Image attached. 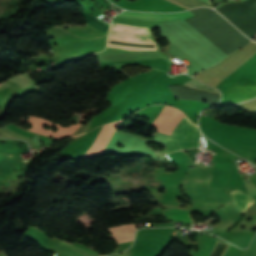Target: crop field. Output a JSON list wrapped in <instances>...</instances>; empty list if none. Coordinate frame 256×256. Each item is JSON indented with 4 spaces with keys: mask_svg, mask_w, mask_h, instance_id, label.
<instances>
[{
    "mask_svg": "<svg viewBox=\"0 0 256 256\" xmlns=\"http://www.w3.org/2000/svg\"><path fill=\"white\" fill-rule=\"evenodd\" d=\"M184 85L220 96V92L218 90H215L209 86H206L193 78L189 80L187 83H185Z\"/></svg>",
    "mask_w": 256,
    "mask_h": 256,
    "instance_id": "crop-field-12",
    "label": "crop field"
},
{
    "mask_svg": "<svg viewBox=\"0 0 256 256\" xmlns=\"http://www.w3.org/2000/svg\"><path fill=\"white\" fill-rule=\"evenodd\" d=\"M53 250L66 254L68 256H98L88 250L74 246L63 241H59Z\"/></svg>",
    "mask_w": 256,
    "mask_h": 256,
    "instance_id": "crop-field-7",
    "label": "crop field"
},
{
    "mask_svg": "<svg viewBox=\"0 0 256 256\" xmlns=\"http://www.w3.org/2000/svg\"><path fill=\"white\" fill-rule=\"evenodd\" d=\"M184 118V114L179 110L165 106L158 117L154 120L152 126L158 128V132L170 135ZM199 136L200 132L198 130V126H195L186 117L170 135L167 141L166 152L169 153L179 149L198 147Z\"/></svg>",
    "mask_w": 256,
    "mask_h": 256,
    "instance_id": "crop-field-1",
    "label": "crop field"
},
{
    "mask_svg": "<svg viewBox=\"0 0 256 256\" xmlns=\"http://www.w3.org/2000/svg\"><path fill=\"white\" fill-rule=\"evenodd\" d=\"M118 16L135 18V19H143V20H152V21H175V20L190 18L194 16V14H192L189 11L175 13V14H146V13H136V12L125 11L119 14ZM110 31L152 38L150 34V29L148 28H141V27H134V26L112 23Z\"/></svg>",
    "mask_w": 256,
    "mask_h": 256,
    "instance_id": "crop-field-3",
    "label": "crop field"
},
{
    "mask_svg": "<svg viewBox=\"0 0 256 256\" xmlns=\"http://www.w3.org/2000/svg\"><path fill=\"white\" fill-rule=\"evenodd\" d=\"M230 194L232 195L235 202L234 208L239 213L244 212L247 207L255 202L251 197L238 190H234L230 192Z\"/></svg>",
    "mask_w": 256,
    "mask_h": 256,
    "instance_id": "crop-field-8",
    "label": "crop field"
},
{
    "mask_svg": "<svg viewBox=\"0 0 256 256\" xmlns=\"http://www.w3.org/2000/svg\"><path fill=\"white\" fill-rule=\"evenodd\" d=\"M81 15L87 17L85 22H87L88 24L96 27L98 30L102 31V32H105L107 33L108 32V27L109 25L99 19H97L96 17L90 15V14H87L83 11H81L80 13Z\"/></svg>",
    "mask_w": 256,
    "mask_h": 256,
    "instance_id": "crop-field-10",
    "label": "crop field"
},
{
    "mask_svg": "<svg viewBox=\"0 0 256 256\" xmlns=\"http://www.w3.org/2000/svg\"><path fill=\"white\" fill-rule=\"evenodd\" d=\"M202 132L217 143L256 148V130L222 124L212 117L201 115Z\"/></svg>",
    "mask_w": 256,
    "mask_h": 256,
    "instance_id": "crop-field-2",
    "label": "crop field"
},
{
    "mask_svg": "<svg viewBox=\"0 0 256 256\" xmlns=\"http://www.w3.org/2000/svg\"><path fill=\"white\" fill-rule=\"evenodd\" d=\"M184 8H193L197 6H210L200 0H167ZM212 7V6H210Z\"/></svg>",
    "mask_w": 256,
    "mask_h": 256,
    "instance_id": "crop-field-11",
    "label": "crop field"
},
{
    "mask_svg": "<svg viewBox=\"0 0 256 256\" xmlns=\"http://www.w3.org/2000/svg\"><path fill=\"white\" fill-rule=\"evenodd\" d=\"M115 256H130L129 253L126 254H120V255H115Z\"/></svg>",
    "mask_w": 256,
    "mask_h": 256,
    "instance_id": "crop-field-13",
    "label": "crop field"
},
{
    "mask_svg": "<svg viewBox=\"0 0 256 256\" xmlns=\"http://www.w3.org/2000/svg\"><path fill=\"white\" fill-rule=\"evenodd\" d=\"M120 121L104 125L103 129L98 134L95 142L92 144L91 148L88 150V152L84 155L83 158L101 155L104 147L108 143L110 137L113 135L115 128Z\"/></svg>",
    "mask_w": 256,
    "mask_h": 256,
    "instance_id": "crop-field-6",
    "label": "crop field"
},
{
    "mask_svg": "<svg viewBox=\"0 0 256 256\" xmlns=\"http://www.w3.org/2000/svg\"><path fill=\"white\" fill-rule=\"evenodd\" d=\"M255 208H256V206H255ZM253 216L256 218V214H253Z\"/></svg>",
    "mask_w": 256,
    "mask_h": 256,
    "instance_id": "crop-field-15",
    "label": "crop field"
},
{
    "mask_svg": "<svg viewBox=\"0 0 256 256\" xmlns=\"http://www.w3.org/2000/svg\"><path fill=\"white\" fill-rule=\"evenodd\" d=\"M256 97V86L231 87L222 96L219 105L233 104Z\"/></svg>",
    "mask_w": 256,
    "mask_h": 256,
    "instance_id": "crop-field-5",
    "label": "crop field"
},
{
    "mask_svg": "<svg viewBox=\"0 0 256 256\" xmlns=\"http://www.w3.org/2000/svg\"><path fill=\"white\" fill-rule=\"evenodd\" d=\"M188 212L189 211L177 209V210L165 212L163 214L171 221H184V223H192V220Z\"/></svg>",
    "mask_w": 256,
    "mask_h": 256,
    "instance_id": "crop-field-9",
    "label": "crop field"
},
{
    "mask_svg": "<svg viewBox=\"0 0 256 256\" xmlns=\"http://www.w3.org/2000/svg\"><path fill=\"white\" fill-rule=\"evenodd\" d=\"M202 1H204V2H206V3H208V4H210V5H211V3H210V1H209V0H202Z\"/></svg>",
    "mask_w": 256,
    "mask_h": 256,
    "instance_id": "crop-field-14",
    "label": "crop field"
},
{
    "mask_svg": "<svg viewBox=\"0 0 256 256\" xmlns=\"http://www.w3.org/2000/svg\"><path fill=\"white\" fill-rule=\"evenodd\" d=\"M31 117V116H29ZM32 119L30 120H23L22 121H25V122H28V123H31L34 125V127L32 129H29L35 133H38V134H41V135H44V136H52L56 139H59L61 137H64V136H67L73 132H75V130L80 126L79 124H76L74 126H70L68 128H62L61 126L57 125V124H53V123H50V122H47V121H44L40 118H37V117H31ZM47 124L49 126H57L59 130L55 131V132H52V131H48V130H45L43 129V126Z\"/></svg>",
    "mask_w": 256,
    "mask_h": 256,
    "instance_id": "crop-field-4",
    "label": "crop field"
}]
</instances>
